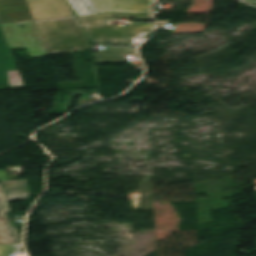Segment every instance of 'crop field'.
<instances>
[{
	"label": "crop field",
	"mask_w": 256,
	"mask_h": 256,
	"mask_svg": "<svg viewBox=\"0 0 256 256\" xmlns=\"http://www.w3.org/2000/svg\"><path fill=\"white\" fill-rule=\"evenodd\" d=\"M34 22L47 54L88 48L75 16Z\"/></svg>",
	"instance_id": "obj_1"
},
{
	"label": "crop field",
	"mask_w": 256,
	"mask_h": 256,
	"mask_svg": "<svg viewBox=\"0 0 256 256\" xmlns=\"http://www.w3.org/2000/svg\"><path fill=\"white\" fill-rule=\"evenodd\" d=\"M114 17L152 18L150 14L106 12L80 17L79 20L90 39L102 36L145 37L155 30L154 23L130 22L129 26H110L101 22L103 20H114Z\"/></svg>",
	"instance_id": "obj_2"
},
{
	"label": "crop field",
	"mask_w": 256,
	"mask_h": 256,
	"mask_svg": "<svg viewBox=\"0 0 256 256\" xmlns=\"http://www.w3.org/2000/svg\"><path fill=\"white\" fill-rule=\"evenodd\" d=\"M25 28L20 29L18 25ZM11 49L26 48L30 57L46 55L33 21L1 24Z\"/></svg>",
	"instance_id": "obj_3"
},
{
	"label": "crop field",
	"mask_w": 256,
	"mask_h": 256,
	"mask_svg": "<svg viewBox=\"0 0 256 256\" xmlns=\"http://www.w3.org/2000/svg\"><path fill=\"white\" fill-rule=\"evenodd\" d=\"M34 20L73 15L65 0H26Z\"/></svg>",
	"instance_id": "obj_4"
},
{
	"label": "crop field",
	"mask_w": 256,
	"mask_h": 256,
	"mask_svg": "<svg viewBox=\"0 0 256 256\" xmlns=\"http://www.w3.org/2000/svg\"><path fill=\"white\" fill-rule=\"evenodd\" d=\"M98 13L106 11L150 13L153 0H91Z\"/></svg>",
	"instance_id": "obj_5"
},
{
	"label": "crop field",
	"mask_w": 256,
	"mask_h": 256,
	"mask_svg": "<svg viewBox=\"0 0 256 256\" xmlns=\"http://www.w3.org/2000/svg\"><path fill=\"white\" fill-rule=\"evenodd\" d=\"M33 19L25 0H0V21Z\"/></svg>",
	"instance_id": "obj_6"
},
{
	"label": "crop field",
	"mask_w": 256,
	"mask_h": 256,
	"mask_svg": "<svg viewBox=\"0 0 256 256\" xmlns=\"http://www.w3.org/2000/svg\"><path fill=\"white\" fill-rule=\"evenodd\" d=\"M9 206L0 185V244H21L17 228H13L5 212Z\"/></svg>",
	"instance_id": "obj_7"
},
{
	"label": "crop field",
	"mask_w": 256,
	"mask_h": 256,
	"mask_svg": "<svg viewBox=\"0 0 256 256\" xmlns=\"http://www.w3.org/2000/svg\"><path fill=\"white\" fill-rule=\"evenodd\" d=\"M10 70L17 69L0 26V85H10Z\"/></svg>",
	"instance_id": "obj_8"
},
{
	"label": "crop field",
	"mask_w": 256,
	"mask_h": 256,
	"mask_svg": "<svg viewBox=\"0 0 256 256\" xmlns=\"http://www.w3.org/2000/svg\"><path fill=\"white\" fill-rule=\"evenodd\" d=\"M8 201L30 198L27 179L1 181Z\"/></svg>",
	"instance_id": "obj_9"
},
{
	"label": "crop field",
	"mask_w": 256,
	"mask_h": 256,
	"mask_svg": "<svg viewBox=\"0 0 256 256\" xmlns=\"http://www.w3.org/2000/svg\"><path fill=\"white\" fill-rule=\"evenodd\" d=\"M137 56L136 49L131 47L108 46L105 51L95 53V57H128Z\"/></svg>",
	"instance_id": "obj_10"
},
{
	"label": "crop field",
	"mask_w": 256,
	"mask_h": 256,
	"mask_svg": "<svg viewBox=\"0 0 256 256\" xmlns=\"http://www.w3.org/2000/svg\"><path fill=\"white\" fill-rule=\"evenodd\" d=\"M77 17L96 14L97 11L90 0H69Z\"/></svg>",
	"instance_id": "obj_11"
},
{
	"label": "crop field",
	"mask_w": 256,
	"mask_h": 256,
	"mask_svg": "<svg viewBox=\"0 0 256 256\" xmlns=\"http://www.w3.org/2000/svg\"><path fill=\"white\" fill-rule=\"evenodd\" d=\"M134 38L102 37L91 40V43H109L110 45H132Z\"/></svg>",
	"instance_id": "obj_12"
},
{
	"label": "crop field",
	"mask_w": 256,
	"mask_h": 256,
	"mask_svg": "<svg viewBox=\"0 0 256 256\" xmlns=\"http://www.w3.org/2000/svg\"><path fill=\"white\" fill-rule=\"evenodd\" d=\"M10 78L11 85H22L17 71H11Z\"/></svg>",
	"instance_id": "obj_13"
},
{
	"label": "crop field",
	"mask_w": 256,
	"mask_h": 256,
	"mask_svg": "<svg viewBox=\"0 0 256 256\" xmlns=\"http://www.w3.org/2000/svg\"><path fill=\"white\" fill-rule=\"evenodd\" d=\"M14 252V246H0V256H9L8 253Z\"/></svg>",
	"instance_id": "obj_14"
}]
</instances>
